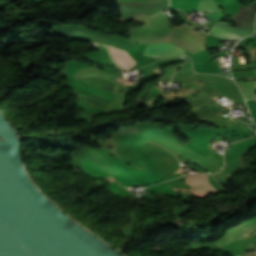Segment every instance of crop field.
<instances>
[{
	"mask_svg": "<svg viewBox=\"0 0 256 256\" xmlns=\"http://www.w3.org/2000/svg\"><path fill=\"white\" fill-rule=\"evenodd\" d=\"M256 231V217L242 224L228 228L223 237L210 242L214 246H220L233 240L241 239L247 236H252Z\"/></svg>",
	"mask_w": 256,
	"mask_h": 256,
	"instance_id": "obj_1",
	"label": "crop field"
},
{
	"mask_svg": "<svg viewBox=\"0 0 256 256\" xmlns=\"http://www.w3.org/2000/svg\"><path fill=\"white\" fill-rule=\"evenodd\" d=\"M185 51L173 46L169 43H158L147 45L144 51V55H148L155 58H165L174 55L184 54Z\"/></svg>",
	"mask_w": 256,
	"mask_h": 256,
	"instance_id": "obj_2",
	"label": "crop field"
},
{
	"mask_svg": "<svg viewBox=\"0 0 256 256\" xmlns=\"http://www.w3.org/2000/svg\"><path fill=\"white\" fill-rule=\"evenodd\" d=\"M180 38H182L183 40L193 44L194 46L204 50V48L202 47V40H203V37L193 33L192 31L188 30L184 33H181L179 35H176ZM176 36H173V39H172V43L180 46V47H183L187 50H189L190 52H192L193 54L199 52V51H202L196 47H194L193 45L183 41L182 39L176 37Z\"/></svg>",
	"mask_w": 256,
	"mask_h": 256,
	"instance_id": "obj_3",
	"label": "crop field"
},
{
	"mask_svg": "<svg viewBox=\"0 0 256 256\" xmlns=\"http://www.w3.org/2000/svg\"><path fill=\"white\" fill-rule=\"evenodd\" d=\"M188 181L194 185L196 191L205 193L217 191L208 183L207 175H191Z\"/></svg>",
	"mask_w": 256,
	"mask_h": 256,
	"instance_id": "obj_4",
	"label": "crop field"
},
{
	"mask_svg": "<svg viewBox=\"0 0 256 256\" xmlns=\"http://www.w3.org/2000/svg\"><path fill=\"white\" fill-rule=\"evenodd\" d=\"M109 47V46H108ZM114 59L122 68L129 70L136 62L124 51L109 47Z\"/></svg>",
	"mask_w": 256,
	"mask_h": 256,
	"instance_id": "obj_5",
	"label": "crop field"
},
{
	"mask_svg": "<svg viewBox=\"0 0 256 256\" xmlns=\"http://www.w3.org/2000/svg\"><path fill=\"white\" fill-rule=\"evenodd\" d=\"M211 32H213L215 34H218V35H221L223 37H240V36H235L233 34H230V33L226 32V31H224V30H222L218 27H215V26H213V28L211 29Z\"/></svg>",
	"mask_w": 256,
	"mask_h": 256,
	"instance_id": "obj_6",
	"label": "crop field"
}]
</instances>
